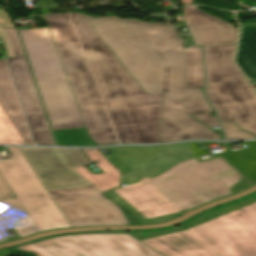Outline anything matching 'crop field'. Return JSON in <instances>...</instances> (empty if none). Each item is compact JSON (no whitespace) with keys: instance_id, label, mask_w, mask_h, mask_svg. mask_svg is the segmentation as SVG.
Instances as JSON below:
<instances>
[{"instance_id":"obj_1","label":"crop field","mask_w":256,"mask_h":256,"mask_svg":"<svg viewBox=\"0 0 256 256\" xmlns=\"http://www.w3.org/2000/svg\"><path fill=\"white\" fill-rule=\"evenodd\" d=\"M83 16L146 93H164L160 128L162 143L189 139L220 140V135L190 116L212 112V109L201 89L187 88L186 45L172 24ZM160 40L163 45H160Z\"/></svg>"},{"instance_id":"obj_2","label":"crop field","mask_w":256,"mask_h":256,"mask_svg":"<svg viewBox=\"0 0 256 256\" xmlns=\"http://www.w3.org/2000/svg\"><path fill=\"white\" fill-rule=\"evenodd\" d=\"M121 144L161 143L163 93L146 94L81 13H71Z\"/></svg>"},{"instance_id":"obj_3","label":"crop field","mask_w":256,"mask_h":256,"mask_svg":"<svg viewBox=\"0 0 256 256\" xmlns=\"http://www.w3.org/2000/svg\"><path fill=\"white\" fill-rule=\"evenodd\" d=\"M90 138L118 143L67 13L44 14Z\"/></svg>"},{"instance_id":"obj_4","label":"crop field","mask_w":256,"mask_h":256,"mask_svg":"<svg viewBox=\"0 0 256 256\" xmlns=\"http://www.w3.org/2000/svg\"><path fill=\"white\" fill-rule=\"evenodd\" d=\"M19 31L53 129L85 127L49 29Z\"/></svg>"},{"instance_id":"obj_5","label":"crop field","mask_w":256,"mask_h":256,"mask_svg":"<svg viewBox=\"0 0 256 256\" xmlns=\"http://www.w3.org/2000/svg\"><path fill=\"white\" fill-rule=\"evenodd\" d=\"M241 178L221 158L202 163L192 159L147 183L184 212L230 196L228 188Z\"/></svg>"},{"instance_id":"obj_6","label":"crop field","mask_w":256,"mask_h":256,"mask_svg":"<svg viewBox=\"0 0 256 256\" xmlns=\"http://www.w3.org/2000/svg\"><path fill=\"white\" fill-rule=\"evenodd\" d=\"M236 45L204 46L206 94L221 121L256 135V93L233 63Z\"/></svg>"},{"instance_id":"obj_7","label":"crop field","mask_w":256,"mask_h":256,"mask_svg":"<svg viewBox=\"0 0 256 256\" xmlns=\"http://www.w3.org/2000/svg\"><path fill=\"white\" fill-rule=\"evenodd\" d=\"M184 227L223 256H256V197L211 212Z\"/></svg>"},{"instance_id":"obj_8","label":"crop field","mask_w":256,"mask_h":256,"mask_svg":"<svg viewBox=\"0 0 256 256\" xmlns=\"http://www.w3.org/2000/svg\"><path fill=\"white\" fill-rule=\"evenodd\" d=\"M7 148L11 159L0 160V173L42 231L71 227L19 148Z\"/></svg>"},{"instance_id":"obj_9","label":"crop field","mask_w":256,"mask_h":256,"mask_svg":"<svg viewBox=\"0 0 256 256\" xmlns=\"http://www.w3.org/2000/svg\"><path fill=\"white\" fill-rule=\"evenodd\" d=\"M37 256H164L127 234L53 237L17 247Z\"/></svg>"},{"instance_id":"obj_10","label":"crop field","mask_w":256,"mask_h":256,"mask_svg":"<svg viewBox=\"0 0 256 256\" xmlns=\"http://www.w3.org/2000/svg\"><path fill=\"white\" fill-rule=\"evenodd\" d=\"M72 227L130 224L93 185L49 192Z\"/></svg>"},{"instance_id":"obj_11","label":"crop field","mask_w":256,"mask_h":256,"mask_svg":"<svg viewBox=\"0 0 256 256\" xmlns=\"http://www.w3.org/2000/svg\"><path fill=\"white\" fill-rule=\"evenodd\" d=\"M141 179L130 169L122 174V183L127 186L118 187L105 194L131 211L133 218L140 224L167 222L181 213L150 185L141 182Z\"/></svg>"},{"instance_id":"obj_12","label":"crop field","mask_w":256,"mask_h":256,"mask_svg":"<svg viewBox=\"0 0 256 256\" xmlns=\"http://www.w3.org/2000/svg\"><path fill=\"white\" fill-rule=\"evenodd\" d=\"M21 149L49 191L91 184L73 169L91 164L81 149Z\"/></svg>"},{"instance_id":"obj_13","label":"crop field","mask_w":256,"mask_h":256,"mask_svg":"<svg viewBox=\"0 0 256 256\" xmlns=\"http://www.w3.org/2000/svg\"><path fill=\"white\" fill-rule=\"evenodd\" d=\"M37 145H56L36 91L26 57L7 59Z\"/></svg>"},{"instance_id":"obj_14","label":"crop field","mask_w":256,"mask_h":256,"mask_svg":"<svg viewBox=\"0 0 256 256\" xmlns=\"http://www.w3.org/2000/svg\"><path fill=\"white\" fill-rule=\"evenodd\" d=\"M183 9L196 45L236 44L238 31L230 23L203 13L196 6Z\"/></svg>"},{"instance_id":"obj_15","label":"crop field","mask_w":256,"mask_h":256,"mask_svg":"<svg viewBox=\"0 0 256 256\" xmlns=\"http://www.w3.org/2000/svg\"><path fill=\"white\" fill-rule=\"evenodd\" d=\"M143 242L166 256H221L188 231Z\"/></svg>"},{"instance_id":"obj_16","label":"crop field","mask_w":256,"mask_h":256,"mask_svg":"<svg viewBox=\"0 0 256 256\" xmlns=\"http://www.w3.org/2000/svg\"><path fill=\"white\" fill-rule=\"evenodd\" d=\"M0 104L27 144L34 145L5 59L0 60Z\"/></svg>"},{"instance_id":"obj_17","label":"crop field","mask_w":256,"mask_h":256,"mask_svg":"<svg viewBox=\"0 0 256 256\" xmlns=\"http://www.w3.org/2000/svg\"><path fill=\"white\" fill-rule=\"evenodd\" d=\"M88 158L93 161L99 160L101 163L96 164L105 173L94 175L85 167L76 168L82 176H84L88 181H90L99 191L104 192L106 190L112 189L119 185L120 172L116 170L98 151L83 149Z\"/></svg>"},{"instance_id":"obj_18","label":"crop field","mask_w":256,"mask_h":256,"mask_svg":"<svg viewBox=\"0 0 256 256\" xmlns=\"http://www.w3.org/2000/svg\"><path fill=\"white\" fill-rule=\"evenodd\" d=\"M248 151H233L221 155L253 184L256 183V141L244 143Z\"/></svg>"},{"instance_id":"obj_19","label":"crop field","mask_w":256,"mask_h":256,"mask_svg":"<svg viewBox=\"0 0 256 256\" xmlns=\"http://www.w3.org/2000/svg\"><path fill=\"white\" fill-rule=\"evenodd\" d=\"M185 52L188 87L200 88L204 86L201 49L200 47H187Z\"/></svg>"},{"instance_id":"obj_20","label":"crop field","mask_w":256,"mask_h":256,"mask_svg":"<svg viewBox=\"0 0 256 256\" xmlns=\"http://www.w3.org/2000/svg\"><path fill=\"white\" fill-rule=\"evenodd\" d=\"M237 63L252 82L256 77V27L240 49Z\"/></svg>"},{"instance_id":"obj_21","label":"crop field","mask_w":256,"mask_h":256,"mask_svg":"<svg viewBox=\"0 0 256 256\" xmlns=\"http://www.w3.org/2000/svg\"><path fill=\"white\" fill-rule=\"evenodd\" d=\"M54 132L59 145L85 146L92 142L85 128Z\"/></svg>"},{"instance_id":"obj_22","label":"crop field","mask_w":256,"mask_h":256,"mask_svg":"<svg viewBox=\"0 0 256 256\" xmlns=\"http://www.w3.org/2000/svg\"><path fill=\"white\" fill-rule=\"evenodd\" d=\"M0 143L26 144L0 106Z\"/></svg>"},{"instance_id":"obj_23","label":"crop field","mask_w":256,"mask_h":256,"mask_svg":"<svg viewBox=\"0 0 256 256\" xmlns=\"http://www.w3.org/2000/svg\"><path fill=\"white\" fill-rule=\"evenodd\" d=\"M0 39L9 58L25 55L15 28L3 29L0 27Z\"/></svg>"},{"instance_id":"obj_24","label":"crop field","mask_w":256,"mask_h":256,"mask_svg":"<svg viewBox=\"0 0 256 256\" xmlns=\"http://www.w3.org/2000/svg\"><path fill=\"white\" fill-rule=\"evenodd\" d=\"M221 123L228 140L256 138L255 136L245 131H241L240 128L236 126L234 123H229V122H221Z\"/></svg>"},{"instance_id":"obj_25","label":"crop field","mask_w":256,"mask_h":256,"mask_svg":"<svg viewBox=\"0 0 256 256\" xmlns=\"http://www.w3.org/2000/svg\"><path fill=\"white\" fill-rule=\"evenodd\" d=\"M185 230L186 229L182 226V227H179V228H176L173 230L149 231L148 233H146V236L143 235V231H139L136 233L130 232L128 234L140 241H143V240L160 237V236H164V235H168V234H173V233H177V232H181V231H185Z\"/></svg>"},{"instance_id":"obj_26","label":"crop field","mask_w":256,"mask_h":256,"mask_svg":"<svg viewBox=\"0 0 256 256\" xmlns=\"http://www.w3.org/2000/svg\"><path fill=\"white\" fill-rule=\"evenodd\" d=\"M15 194L12 192L10 187L7 185L5 180L0 175V199L14 197Z\"/></svg>"},{"instance_id":"obj_27","label":"crop field","mask_w":256,"mask_h":256,"mask_svg":"<svg viewBox=\"0 0 256 256\" xmlns=\"http://www.w3.org/2000/svg\"><path fill=\"white\" fill-rule=\"evenodd\" d=\"M209 127L220 126L217 118L211 117L210 113L194 116Z\"/></svg>"},{"instance_id":"obj_28","label":"crop field","mask_w":256,"mask_h":256,"mask_svg":"<svg viewBox=\"0 0 256 256\" xmlns=\"http://www.w3.org/2000/svg\"><path fill=\"white\" fill-rule=\"evenodd\" d=\"M11 20L8 18L7 14L3 9L0 10V26L3 28L15 27L14 24L10 22Z\"/></svg>"},{"instance_id":"obj_29","label":"crop field","mask_w":256,"mask_h":256,"mask_svg":"<svg viewBox=\"0 0 256 256\" xmlns=\"http://www.w3.org/2000/svg\"><path fill=\"white\" fill-rule=\"evenodd\" d=\"M0 203L26 211L25 207L22 205V203L19 201V199L0 202Z\"/></svg>"},{"instance_id":"obj_30","label":"crop field","mask_w":256,"mask_h":256,"mask_svg":"<svg viewBox=\"0 0 256 256\" xmlns=\"http://www.w3.org/2000/svg\"><path fill=\"white\" fill-rule=\"evenodd\" d=\"M252 27H253V25H243L242 26L238 47L243 42V40L245 39V37L247 36V34L249 33V31L251 30ZM238 47H237V49H238Z\"/></svg>"},{"instance_id":"obj_31","label":"crop field","mask_w":256,"mask_h":256,"mask_svg":"<svg viewBox=\"0 0 256 256\" xmlns=\"http://www.w3.org/2000/svg\"><path fill=\"white\" fill-rule=\"evenodd\" d=\"M192 143V146H193V149H194V153H195V156H201V155H206V154H209L208 153V150L205 149V150H199L197 147V143L196 142H191Z\"/></svg>"},{"instance_id":"obj_32","label":"crop field","mask_w":256,"mask_h":256,"mask_svg":"<svg viewBox=\"0 0 256 256\" xmlns=\"http://www.w3.org/2000/svg\"><path fill=\"white\" fill-rule=\"evenodd\" d=\"M8 255H12V254L6 250L0 251V256H8Z\"/></svg>"},{"instance_id":"obj_33","label":"crop field","mask_w":256,"mask_h":256,"mask_svg":"<svg viewBox=\"0 0 256 256\" xmlns=\"http://www.w3.org/2000/svg\"><path fill=\"white\" fill-rule=\"evenodd\" d=\"M181 2L183 3V5H187V4H191L193 0H181Z\"/></svg>"},{"instance_id":"obj_34","label":"crop field","mask_w":256,"mask_h":256,"mask_svg":"<svg viewBox=\"0 0 256 256\" xmlns=\"http://www.w3.org/2000/svg\"><path fill=\"white\" fill-rule=\"evenodd\" d=\"M254 27H255V25H254ZM254 27H253V28H254ZM253 28H252V30H253ZM252 30H251V31H252ZM251 31H250V32H251ZM249 34H250V33H249ZM249 34H248V35H249ZM247 37H248V36H247ZM247 37H246V38H247ZM245 40H246V39H245ZM245 40H244V41H245ZM243 43H244V42H243ZM243 43H242V44H243ZM242 44H241V46H242ZM241 46L239 47V49L241 48ZM239 49H238V51H239Z\"/></svg>"},{"instance_id":"obj_35","label":"crop field","mask_w":256,"mask_h":256,"mask_svg":"<svg viewBox=\"0 0 256 256\" xmlns=\"http://www.w3.org/2000/svg\"><path fill=\"white\" fill-rule=\"evenodd\" d=\"M253 86L256 88V85H255V84H253Z\"/></svg>"}]
</instances>
